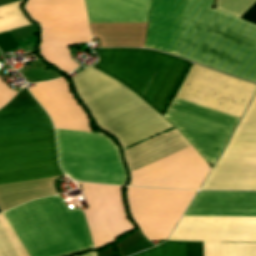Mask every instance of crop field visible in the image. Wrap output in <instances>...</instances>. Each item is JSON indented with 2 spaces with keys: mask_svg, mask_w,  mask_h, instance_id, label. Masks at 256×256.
<instances>
[{
  "mask_svg": "<svg viewBox=\"0 0 256 256\" xmlns=\"http://www.w3.org/2000/svg\"><path fill=\"white\" fill-rule=\"evenodd\" d=\"M212 0H153L146 48L256 82V26L217 9Z\"/></svg>",
  "mask_w": 256,
  "mask_h": 256,
  "instance_id": "1",
  "label": "crop field"
},
{
  "mask_svg": "<svg viewBox=\"0 0 256 256\" xmlns=\"http://www.w3.org/2000/svg\"><path fill=\"white\" fill-rule=\"evenodd\" d=\"M184 216L256 217V192L200 191ZM182 217L165 242H256V218ZM133 256H200V243H162ZM201 256H256V243H201Z\"/></svg>",
  "mask_w": 256,
  "mask_h": 256,
  "instance_id": "2",
  "label": "crop field"
},
{
  "mask_svg": "<svg viewBox=\"0 0 256 256\" xmlns=\"http://www.w3.org/2000/svg\"><path fill=\"white\" fill-rule=\"evenodd\" d=\"M54 195L3 212L27 256H62L93 247L79 209ZM0 213V256H26Z\"/></svg>",
  "mask_w": 256,
  "mask_h": 256,
  "instance_id": "3",
  "label": "crop field"
},
{
  "mask_svg": "<svg viewBox=\"0 0 256 256\" xmlns=\"http://www.w3.org/2000/svg\"><path fill=\"white\" fill-rule=\"evenodd\" d=\"M70 80L98 127L114 136L122 150L173 127L126 87L91 67Z\"/></svg>",
  "mask_w": 256,
  "mask_h": 256,
  "instance_id": "4",
  "label": "crop field"
},
{
  "mask_svg": "<svg viewBox=\"0 0 256 256\" xmlns=\"http://www.w3.org/2000/svg\"><path fill=\"white\" fill-rule=\"evenodd\" d=\"M130 186L199 189L210 171L176 127L124 151Z\"/></svg>",
  "mask_w": 256,
  "mask_h": 256,
  "instance_id": "5",
  "label": "crop field"
},
{
  "mask_svg": "<svg viewBox=\"0 0 256 256\" xmlns=\"http://www.w3.org/2000/svg\"><path fill=\"white\" fill-rule=\"evenodd\" d=\"M93 67L120 81L161 115L190 62L142 49H97Z\"/></svg>",
  "mask_w": 256,
  "mask_h": 256,
  "instance_id": "6",
  "label": "crop field"
},
{
  "mask_svg": "<svg viewBox=\"0 0 256 256\" xmlns=\"http://www.w3.org/2000/svg\"><path fill=\"white\" fill-rule=\"evenodd\" d=\"M59 165L73 180L120 184L126 172L115 143L103 133L55 129Z\"/></svg>",
  "mask_w": 256,
  "mask_h": 256,
  "instance_id": "7",
  "label": "crop field"
},
{
  "mask_svg": "<svg viewBox=\"0 0 256 256\" xmlns=\"http://www.w3.org/2000/svg\"><path fill=\"white\" fill-rule=\"evenodd\" d=\"M61 175L53 129L0 138V184Z\"/></svg>",
  "mask_w": 256,
  "mask_h": 256,
  "instance_id": "8",
  "label": "crop field"
},
{
  "mask_svg": "<svg viewBox=\"0 0 256 256\" xmlns=\"http://www.w3.org/2000/svg\"><path fill=\"white\" fill-rule=\"evenodd\" d=\"M201 189L256 190V95Z\"/></svg>",
  "mask_w": 256,
  "mask_h": 256,
  "instance_id": "9",
  "label": "crop field"
},
{
  "mask_svg": "<svg viewBox=\"0 0 256 256\" xmlns=\"http://www.w3.org/2000/svg\"><path fill=\"white\" fill-rule=\"evenodd\" d=\"M163 117L179 129L204 160L213 164L239 121L238 118L176 98Z\"/></svg>",
  "mask_w": 256,
  "mask_h": 256,
  "instance_id": "10",
  "label": "crop field"
},
{
  "mask_svg": "<svg viewBox=\"0 0 256 256\" xmlns=\"http://www.w3.org/2000/svg\"><path fill=\"white\" fill-rule=\"evenodd\" d=\"M255 85L192 64L176 97L240 117Z\"/></svg>",
  "mask_w": 256,
  "mask_h": 256,
  "instance_id": "11",
  "label": "crop field"
},
{
  "mask_svg": "<svg viewBox=\"0 0 256 256\" xmlns=\"http://www.w3.org/2000/svg\"><path fill=\"white\" fill-rule=\"evenodd\" d=\"M196 191L128 188L131 216L148 240L165 239Z\"/></svg>",
  "mask_w": 256,
  "mask_h": 256,
  "instance_id": "12",
  "label": "crop field"
},
{
  "mask_svg": "<svg viewBox=\"0 0 256 256\" xmlns=\"http://www.w3.org/2000/svg\"><path fill=\"white\" fill-rule=\"evenodd\" d=\"M50 128V120L26 88L0 109V137Z\"/></svg>",
  "mask_w": 256,
  "mask_h": 256,
  "instance_id": "13",
  "label": "crop field"
},
{
  "mask_svg": "<svg viewBox=\"0 0 256 256\" xmlns=\"http://www.w3.org/2000/svg\"><path fill=\"white\" fill-rule=\"evenodd\" d=\"M90 22H147L151 0H85Z\"/></svg>",
  "mask_w": 256,
  "mask_h": 256,
  "instance_id": "14",
  "label": "crop field"
},
{
  "mask_svg": "<svg viewBox=\"0 0 256 256\" xmlns=\"http://www.w3.org/2000/svg\"><path fill=\"white\" fill-rule=\"evenodd\" d=\"M255 2L256 0H217L216 8L239 18ZM240 18L256 25V3Z\"/></svg>",
  "mask_w": 256,
  "mask_h": 256,
  "instance_id": "15",
  "label": "crop field"
},
{
  "mask_svg": "<svg viewBox=\"0 0 256 256\" xmlns=\"http://www.w3.org/2000/svg\"><path fill=\"white\" fill-rule=\"evenodd\" d=\"M21 1L0 7V32L30 25L19 9Z\"/></svg>",
  "mask_w": 256,
  "mask_h": 256,
  "instance_id": "16",
  "label": "crop field"
}]
</instances>
